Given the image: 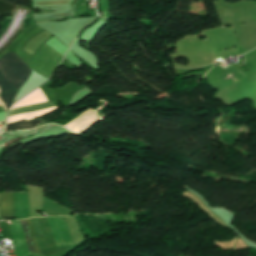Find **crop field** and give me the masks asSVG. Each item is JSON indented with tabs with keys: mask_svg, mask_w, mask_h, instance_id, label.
I'll return each mask as SVG.
<instances>
[{
	"mask_svg": "<svg viewBox=\"0 0 256 256\" xmlns=\"http://www.w3.org/2000/svg\"><path fill=\"white\" fill-rule=\"evenodd\" d=\"M44 121H40L38 119L30 120L26 122L25 120L7 124L6 130H13V129H30L36 127L39 123H43Z\"/></svg>",
	"mask_w": 256,
	"mask_h": 256,
	"instance_id": "crop-field-9",
	"label": "crop field"
},
{
	"mask_svg": "<svg viewBox=\"0 0 256 256\" xmlns=\"http://www.w3.org/2000/svg\"><path fill=\"white\" fill-rule=\"evenodd\" d=\"M58 247L73 245V241L69 235L66 222L63 217H47ZM46 218L30 219L34 228L36 240L42 251L46 252L51 248H56L53 235Z\"/></svg>",
	"mask_w": 256,
	"mask_h": 256,
	"instance_id": "crop-field-1",
	"label": "crop field"
},
{
	"mask_svg": "<svg viewBox=\"0 0 256 256\" xmlns=\"http://www.w3.org/2000/svg\"><path fill=\"white\" fill-rule=\"evenodd\" d=\"M10 222L12 224L10 225V227H11L12 236L14 238L17 256L29 255L30 253L27 249V245L25 243L24 236H23V230L19 221H10Z\"/></svg>",
	"mask_w": 256,
	"mask_h": 256,
	"instance_id": "crop-field-3",
	"label": "crop field"
},
{
	"mask_svg": "<svg viewBox=\"0 0 256 256\" xmlns=\"http://www.w3.org/2000/svg\"><path fill=\"white\" fill-rule=\"evenodd\" d=\"M26 221H27V224H28V228H29V231H30V234H31V238H32V241H33V244H34L35 251L37 253H41V251L37 247L36 240H35V237H34V233H33V229H32V225L30 223V220L27 219ZM26 221L22 220V221H20V223H21V225L23 227L26 243L28 245L29 250L35 252L34 248H33V244H32L31 238H30V234H29V231H28V228H27Z\"/></svg>",
	"mask_w": 256,
	"mask_h": 256,
	"instance_id": "crop-field-8",
	"label": "crop field"
},
{
	"mask_svg": "<svg viewBox=\"0 0 256 256\" xmlns=\"http://www.w3.org/2000/svg\"><path fill=\"white\" fill-rule=\"evenodd\" d=\"M0 218H14L12 193H0Z\"/></svg>",
	"mask_w": 256,
	"mask_h": 256,
	"instance_id": "crop-field-5",
	"label": "crop field"
},
{
	"mask_svg": "<svg viewBox=\"0 0 256 256\" xmlns=\"http://www.w3.org/2000/svg\"><path fill=\"white\" fill-rule=\"evenodd\" d=\"M44 212L50 215H68L72 214L71 210H68L46 198H44Z\"/></svg>",
	"mask_w": 256,
	"mask_h": 256,
	"instance_id": "crop-field-7",
	"label": "crop field"
},
{
	"mask_svg": "<svg viewBox=\"0 0 256 256\" xmlns=\"http://www.w3.org/2000/svg\"><path fill=\"white\" fill-rule=\"evenodd\" d=\"M15 205V219L28 218L29 203L27 194L13 193Z\"/></svg>",
	"mask_w": 256,
	"mask_h": 256,
	"instance_id": "crop-field-4",
	"label": "crop field"
},
{
	"mask_svg": "<svg viewBox=\"0 0 256 256\" xmlns=\"http://www.w3.org/2000/svg\"><path fill=\"white\" fill-rule=\"evenodd\" d=\"M0 90L1 94L0 97L2 98L3 102L5 103L7 109L12 104L14 99V90L13 88L4 80L2 75L0 74Z\"/></svg>",
	"mask_w": 256,
	"mask_h": 256,
	"instance_id": "crop-field-6",
	"label": "crop field"
},
{
	"mask_svg": "<svg viewBox=\"0 0 256 256\" xmlns=\"http://www.w3.org/2000/svg\"><path fill=\"white\" fill-rule=\"evenodd\" d=\"M13 8H15V6L7 4L0 0V17L6 15L8 13H11Z\"/></svg>",
	"mask_w": 256,
	"mask_h": 256,
	"instance_id": "crop-field-10",
	"label": "crop field"
},
{
	"mask_svg": "<svg viewBox=\"0 0 256 256\" xmlns=\"http://www.w3.org/2000/svg\"><path fill=\"white\" fill-rule=\"evenodd\" d=\"M29 67L14 53L10 52L0 59V72L17 91L30 75Z\"/></svg>",
	"mask_w": 256,
	"mask_h": 256,
	"instance_id": "crop-field-2",
	"label": "crop field"
}]
</instances>
